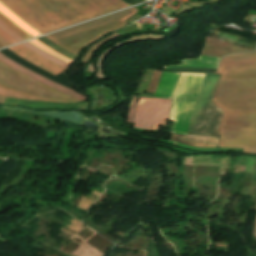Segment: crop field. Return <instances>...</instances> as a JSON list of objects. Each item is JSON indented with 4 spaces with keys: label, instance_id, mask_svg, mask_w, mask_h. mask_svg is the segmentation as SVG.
<instances>
[{
    "label": "crop field",
    "instance_id": "1",
    "mask_svg": "<svg viewBox=\"0 0 256 256\" xmlns=\"http://www.w3.org/2000/svg\"><path fill=\"white\" fill-rule=\"evenodd\" d=\"M213 103L224 110L219 147L256 153V51L223 57Z\"/></svg>",
    "mask_w": 256,
    "mask_h": 256
},
{
    "label": "crop field",
    "instance_id": "2",
    "mask_svg": "<svg viewBox=\"0 0 256 256\" xmlns=\"http://www.w3.org/2000/svg\"><path fill=\"white\" fill-rule=\"evenodd\" d=\"M41 34L124 7L121 0H0Z\"/></svg>",
    "mask_w": 256,
    "mask_h": 256
},
{
    "label": "crop field",
    "instance_id": "3",
    "mask_svg": "<svg viewBox=\"0 0 256 256\" xmlns=\"http://www.w3.org/2000/svg\"><path fill=\"white\" fill-rule=\"evenodd\" d=\"M135 7L125 11L46 36L59 46L77 54L85 45L102 34L122 27L125 20L135 14Z\"/></svg>",
    "mask_w": 256,
    "mask_h": 256
},
{
    "label": "crop field",
    "instance_id": "4",
    "mask_svg": "<svg viewBox=\"0 0 256 256\" xmlns=\"http://www.w3.org/2000/svg\"><path fill=\"white\" fill-rule=\"evenodd\" d=\"M205 74L181 73L173 95L170 119L172 133L186 135L194 105Z\"/></svg>",
    "mask_w": 256,
    "mask_h": 256
},
{
    "label": "crop field",
    "instance_id": "5",
    "mask_svg": "<svg viewBox=\"0 0 256 256\" xmlns=\"http://www.w3.org/2000/svg\"><path fill=\"white\" fill-rule=\"evenodd\" d=\"M0 87L31 97L58 102H77L78 100L57 92L34 79L0 62Z\"/></svg>",
    "mask_w": 256,
    "mask_h": 256
},
{
    "label": "crop field",
    "instance_id": "6",
    "mask_svg": "<svg viewBox=\"0 0 256 256\" xmlns=\"http://www.w3.org/2000/svg\"><path fill=\"white\" fill-rule=\"evenodd\" d=\"M150 101V98L145 99L143 111L141 113L144 98H139L133 127L143 130H157L158 125H166L170 112L171 100L153 98L149 108Z\"/></svg>",
    "mask_w": 256,
    "mask_h": 256
},
{
    "label": "crop field",
    "instance_id": "7",
    "mask_svg": "<svg viewBox=\"0 0 256 256\" xmlns=\"http://www.w3.org/2000/svg\"><path fill=\"white\" fill-rule=\"evenodd\" d=\"M11 52L15 53L16 55L20 56L21 58L33 63L34 65L56 75L62 72L63 68L57 66L56 64L42 58L41 56L33 53L29 49L25 48L21 44L16 45L14 47L8 48Z\"/></svg>",
    "mask_w": 256,
    "mask_h": 256
},
{
    "label": "crop field",
    "instance_id": "8",
    "mask_svg": "<svg viewBox=\"0 0 256 256\" xmlns=\"http://www.w3.org/2000/svg\"><path fill=\"white\" fill-rule=\"evenodd\" d=\"M242 51L252 50L207 37L201 55L221 58L227 54Z\"/></svg>",
    "mask_w": 256,
    "mask_h": 256
},
{
    "label": "crop field",
    "instance_id": "9",
    "mask_svg": "<svg viewBox=\"0 0 256 256\" xmlns=\"http://www.w3.org/2000/svg\"><path fill=\"white\" fill-rule=\"evenodd\" d=\"M0 60L3 61L4 63L8 64L9 66H11V67H13V68L23 72V73H25V74L35 78L37 80H40L41 82H43V83H45V84H47V85H49V86L59 90V91L65 93V94H68V95H70L72 97H75V98H78L80 100H86V98H87V97H85V96H83V95H81V94H79V93H77V92H75V91H73V90H71L69 88L60 86V85H58V84H56V83H54V82H52V81H50V80H48V79H46L44 77H42V76L32 72L31 70H29V69H27V68L17 64L16 62L8 59L7 57L2 55L1 53H0Z\"/></svg>",
    "mask_w": 256,
    "mask_h": 256
},
{
    "label": "crop field",
    "instance_id": "10",
    "mask_svg": "<svg viewBox=\"0 0 256 256\" xmlns=\"http://www.w3.org/2000/svg\"><path fill=\"white\" fill-rule=\"evenodd\" d=\"M179 73H162L158 89L154 95L156 98H171Z\"/></svg>",
    "mask_w": 256,
    "mask_h": 256
},
{
    "label": "crop field",
    "instance_id": "11",
    "mask_svg": "<svg viewBox=\"0 0 256 256\" xmlns=\"http://www.w3.org/2000/svg\"><path fill=\"white\" fill-rule=\"evenodd\" d=\"M182 62L184 64L176 65V66H169V67H164V68L201 67V68H213V69H216L217 65H218V62H219V59L200 56L199 59L183 60Z\"/></svg>",
    "mask_w": 256,
    "mask_h": 256
},
{
    "label": "crop field",
    "instance_id": "12",
    "mask_svg": "<svg viewBox=\"0 0 256 256\" xmlns=\"http://www.w3.org/2000/svg\"><path fill=\"white\" fill-rule=\"evenodd\" d=\"M0 12L3 15H5L8 19H10L12 22H14L17 26H19L21 29H23L25 32L30 34L31 36L35 37V36L40 35L37 31L32 29L30 26H28L26 23H24L21 19H19L16 15H14L12 12H10L1 3H0Z\"/></svg>",
    "mask_w": 256,
    "mask_h": 256
},
{
    "label": "crop field",
    "instance_id": "13",
    "mask_svg": "<svg viewBox=\"0 0 256 256\" xmlns=\"http://www.w3.org/2000/svg\"><path fill=\"white\" fill-rule=\"evenodd\" d=\"M22 44H23L24 46H26L27 48L33 50L34 52H36V53L42 55L43 57H45V58H47V59H49L50 61H52V62H54V63H56V64H58V65L64 67L65 69H66L67 66L69 65V64H67V63H65V62H63V61H61V60H59V59H57V58H55V57L49 55L48 53H46V52H44V51L38 49L37 47H35L34 45H32V44L29 43V42L22 43Z\"/></svg>",
    "mask_w": 256,
    "mask_h": 256
},
{
    "label": "crop field",
    "instance_id": "14",
    "mask_svg": "<svg viewBox=\"0 0 256 256\" xmlns=\"http://www.w3.org/2000/svg\"><path fill=\"white\" fill-rule=\"evenodd\" d=\"M5 97L15 98V99H29V100L42 101V100L30 98V97L21 96V95L15 94L13 92L7 91L3 88H0V103L4 104ZM44 102H46V101H44Z\"/></svg>",
    "mask_w": 256,
    "mask_h": 256
},
{
    "label": "crop field",
    "instance_id": "15",
    "mask_svg": "<svg viewBox=\"0 0 256 256\" xmlns=\"http://www.w3.org/2000/svg\"><path fill=\"white\" fill-rule=\"evenodd\" d=\"M30 42L32 44H34L35 46H37L38 48H40V49H42V50H44V51H46V52H48V53L58 57V58H60L61 60L65 61V62H67L69 64L72 61V60H70L68 58H65V57L59 55L58 53H56L55 51H53L52 49H50L49 47H47L46 45H44L43 43L39 42L36 39H34V40L30 41Z\"/></svg>",
    "mask_w": 256,
    "mask_h": 256
},
{
    "label": "crop field",
    "instance_id": "16",
    "mask_svg": "<svg viewBox=\"0 0 256 256\" xmlns=\"http://www.w3.org/2000/svg\"><path fill=\"white\" fill-rule=\"evenodd\" d=\"M0 20L5 23L7 26H9L11 29L15 30L19 35H21L25 40L32 38L30 35L25 33L23 30H21L19 27H17L15 24H13L10 20H8L6 17H4L2 14H0Z\"/></svg>",
    "mask_w": 256,
    "mask_h": 256
},
{
    "label": "crop field",
    "instance_id": "17",
    "mask_svg": "<svg viewBox=\"0 0 256 256\" xmlns=\"http://www.w3.org/2000/svg\"><path fill=\"white\" fill-rule=\"evenodd\" d=\"M0 27L6 31L11 37H13L15 40H17L18 42L20 41H24V39L19 36L15 31L11 30L9 27H7L5 24H3L1 21H0Z\"/></svg>",
    "mask_w": 256,
    "mask_h": 256
},
{
    "label": "crop field",
    "instance_id": "18",
    "mask_svg": "<svg viewBox=\"0 0 256 256\" xmlns=\"http://www.w3.org/2000/svg\"><path fill=\"white\" fill-rule=\"evenodd\" d=\"M136 103H137V97L134 96L133 100L131 102V105H130V109H129V113H128V117H127L126 122L132 123Z\"/></svg>",
    "mask_w": 256,
    "mask_h": 256
},
{
    "label": "crop field",
    "instance_id": "19",
    "mask_svg": "<svg viewBox=\"0 0 256 256\" xmlns=\"http://www.w3.org/2000/svg\"><path fill=\"white\" fill-rule=\"evenodd\" d=\"M0 43L4 46L12 44L9 40H7L4 36L0 34Z\"/></svg>",
    "mask_w": 256,
    "mask_h": 256
},
{
    "label": "crop field",
    "instance_id": "20",
    "mask_svg": "<svg viewBox=\"0 0 256 256\" xmlns=\"http://www.w3.org/2000/svg\"><path fill=\"white\" fill-rule=\"evenodd\" d=\"M18 102H19V100L6 98L5 104L14 106V105H17Z\"/></svg>",
    "mask_w": 256,
    "mask_h": 256
},
{
    "label": "crop field",
    "instance_id": "21",
    "mask_svg": "<svg viewBox=\"0 0 256 256\" xmlns=\"http://www.w3.org/2000/svg\"><path fill=\"white\" fill-rule=\"evenodd\" d=\"M124 1L128 6L145 1V0H122Z\"/></svg>",
    "mask_w": 256,
    "mask_h": 256
},
{
    "label": "crop field",
    "instance_id": "22",
    "mask_svg": "<svg viewBox=\"0 0 256 256\" xmlns=\"http://www.w3.org/2000/svg\"><path fill=\"white\" fill-rule=\"evenodd\" d=\"M0 33L3 34L6 38H8L10 41H12L13 43H16L17 41H15L13 38H11L9 35H7L5 32H3L1 29H0Z\"/></svg>",
    "mask_w": 256,
    "mask_h": 256
},
{
    "label": "crop field",
    "instance_id": "23",
    "mask_svg": "<svg viewBox=\"0 0 256 256\" xmlns=\"http://www.w3.org/2000/svg\"><path fill=\"white\" fill-rule=\"evenodd\" d=\"M3 47L1 44H0V48Z\"/></svg>",
    "mask_w": 256,
    "mask_h": 256
}]
</instances>
